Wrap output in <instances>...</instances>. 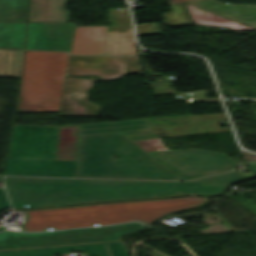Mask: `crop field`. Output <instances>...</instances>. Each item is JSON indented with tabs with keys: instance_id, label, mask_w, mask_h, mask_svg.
<instances>
[{
	"instance_id": "1",
	"label": "crop field",
	"mask_w": 256,
	"mask_h": 256,
	"mask_svg": "<svg viewBox=\"0 0 256 256\" xmlns=\"http://www.w3.org/2000/svg\"><path fill=\"white\" fill-rule=\"evenodd\" d=\"M243 179L231 172L190 183L13 177L5 178L4 182L13 207L23 208L24 204L35 207L179 194H218L229 182Z\"/></svg>"
},
{
	"instance_id": "2",
	"label": "crop field",
	"mask_w": 256,
	"mask_h": 256,
	"mask_svg": "<svg viewBox=\"0 0 256 256\" xmlns=\"http://www.w3.org/2000/svg\"><path fill=\"white\" fill-rule=\"evenodd\" d=\"M209 198L184 197L135 202L71 206L41 210H27L20 226L22 231H44L119 223L131 220L149 225L171 212L202 208Z\"/></svg>"
},
{
	"instance_id": "3",
	"label": "crop field",
	"mask_w": 256,
	"mask_h": 256,
	"mask_svg": "<svg viewBox=\"0 0 256 256\" xmlns=\"http://www.w3.org/2000/svg\"><path fill=\"white\" fill-rule=\"evenodd\" d=\"M76 177L181 180L119 132L79 136Z\"/></svg>"
},
{
	"instance_id": "4",
	"label": "crop field",
	"mask_w": 256,
	"mask_h": 256,
	"mask_svg": "<svg viewBox=\"0 0 256 256\" xmlns=\"http://www.w3.org/2000/svg\"><path fill=\"white\" fill-rule=\"evenodd\" d=\"M68 54L24 51L16 112H58Z\"/></svg>"
},
{
	"instance_id": "5",
	"label": "crop field",
	"mask_w": 256,
	"mask_h": 256,
	"mask_svg": "<svg viewBox=\"0 0 256 256\" xmlns=\"http://www.w3.org/2000/svg\"><path fill=\"white\" fill-rule=\"evenodd\" d=\"M145 228L139 222L101 227L78 228L49 233H0V250L115 241L129 232Z\"/></svg>"
},
{
	"instance_id": "6",
	"label": "crop field",
	"mask_w": 256,
	"mask_h": 256,
	"mask_svg": "<svg viewBox=\"0 0 256 256\" xmlns=\"http://www.w3.org/2000/svg\"><path fill=\"white\" fill-rule=\"evenodd\" d=\"M190 124L194 127L188 128L187 125H173L165 127L150 128L146 119L108 122L100 124H81L77 125L79 135L119 131L130 140L157 138L154 133H164L167 137L227 132L231 129H221L218 121L228 119L225 113L204 114L187 116Z\"/></svg>"
},
{
	"instance_id": "7",
	"label": "crop field",
	"mask_w": 256,
	"mask_h": 256,
	"mask_svg": "<svg viewBox=\"0 0 256 256\" xmlns=\"http://www.w3.org/2000/svg\"><path fill=\"white\" fill-rule=\"evenodd\" d=\"M148 154L183 180L228 171L237 164L225 154L198 149L155 151Z\"/></svg>"
},
{
	"instance_id": "8",
	"label": "crop field",
	"mask_w": 256,
	"mask_h": 256,
	"mask_svg": "<svg viewBox=\"0 0 256 256\" xmlns=\"http://www.w3.org/2000/svg\"><path fill=\"white\" fill-rule=\"evenodd\" d=\"M59 129L15 125L8 158L57 159Z\"/></svg>"
},
{
	"instance_id": "9",
	"label": "crop field",
	"mask_w": 256,
	"mask_h": 256,
	"mask_svg": "<svg viewBox=\"0 0 256 256\" xmlns=\"http://www.w3.org/2000/svg\"><path fill=\"white\" fill-rule=\"evenodd\" d=\"M74 68H71V67ZM141 73L137 56L88 57L71 56L67 75H100V80L121 78L120 75Z\"/></svg>"
},
{
	"instance_id": "10",
	"label": "crop field",
	"mask_w": 256,
	"mask_h": 256,
	"mask_svg": "<svg viewBox=\"0 0 256 256\" xmlns=\"http://www.w3.org/2000/svg\"><path fill=\"white\" fill-rule=\"evenodd\" d=\"M75 25L28 23L25 49L70 51Z\"/></svg>"
},
{
	"instance_id": "11",
	"label": "crop field",
	"mask_w": 256,
	"mask_h": 256,
	"mask_svg": "<svg viewBox=\"0 0 256 256\" xmlns=\"http://www.w3.org/2000/svg\"><path fill=\"white\" fill-rule=\"evenodd\" d=\"M76 161L8 159L3 175L75 177Z\"/></svg>"
},
{
	"instance_id": "12",
	"label": "crop field",
	"mask_w": 256,
	"mask_h": 256,
	"mask_svg": "<svg viewBox=\"0 0 256 256\" xmlns=\"http://www.w3.org/2000/svg\"><path fill=\"white\" fill-rule=\"evenodd\" d=\"M104 244L107 245L111 256H128L124 243L120 241L0 251V256H52V253L64 254L74 250L86 252L88 256H109Z\"/></svg>"
},
{
	"instance_id": "13",
	"label": "crop field",
	"mask_w": 256,
	"mask_h": 256,
	"mask_svg": "<svg viewBox=\"0 0 256 256\" xmlns=\"http://www.w3.org/2000/svg\"><path fill=\"white\" fill-rule=\"evenodd\" d=\"M93 81L67 77L59 116H98L100 107L86 101Z\"/></svg>"
},
{
	"instance_id": "14",
	"label": "crop field",
	"mask_w": 256,
	"mask_h": 256,
	"mask_svg": "<svg viewBox=\"0 0 256 256\" xmlns=\"http://www.w3.org/2000/svg\"><path fill=\"white\" fill-rule=\"evenodd\" d=\"M107 27H77L71 54L102 55Z\"/></svg>"
},
{
	"instance_id": "15",
	"label": "crop field",
	"mask_w": 256,
	"mask_h": 256,
	"mask_svg": "<svg viewBox=\"0 0 256 256\" xmlns=\"http://www.w3.org/2000/svg\"><path fill=\"white\" fill-rule=\"evenodd\" d=\"M189 3L216 13L223 14L239 22H244L250 25L249 27L256 28V5H228L216 2L214 0H194L189 1Z\"/></svg>"
},
{
	"instance_id": "16",
	"label": "crop field",
	"mask_w": 256,
	"mask_h": 256,
	"mask_svg": "<svg viewBox=\"0 0 256 256\" xmlns=\"http://www.w3.org/2000/svg\"><path fill=\"white\" fill-rule=\"evenodd\" d=\"M66 0H31L28 22H68Z\"/></svg>"
},
{
	"instance_id": "17",
	"label": "crop field",
	"mask_w": 256,
	"mask_h": 256,
	"mask_svg": "<svg viewBox=\"0 0 256 256\" xmlns=\"http://www.w3.org/2000/svg\"><path fill=\"white\" fill-rule=\"evenodd\" d=\"M26 23L0 22V48L24 49Z\"/></svg>"
},
{
	"instance_id": "18",
	"label": "crop field",
	"mask_w": 256,
	"mask_h": 256,
	"mask_svg": "<svg viewBox=\"0 0 256 256\" xmlns=\"http://www.w3.org/2000/svg\"><path fill=\"white\" fill-rule=\"evenodd\" d=\"M29 0H0V21L26 22Z\"/></svg>"
},
{
	"instance_id": "19",
	"label": "crop field",
	"mask_w": 256,
	"mask_h": 256,
	"mask_svg": "<svg viewBox=\"0 0 256 256\" xmlns=\"http://www.w3.org/2000/svg\"><path fill=\"white\" fill-rule=\"evenodd\" d=\"M77 140L76 126L61 128L58 159L76 160Z\"/></svg>"
},
{
	"instance_id": "20",
	"label": "crop field",
	"mask_w": 256,
	"mask_h": 256,
	"mask_svg": "<svg viewBox=\"0 0 256 256\" xmlns=\"http://www.w3.org/2000/svg\"><path fill=\"white\" fill-rule=\"evenodd\" d=\"M187 8L192 20H199V21H206V22H218V23H230V24H237L235 22L229 21L227 19L221 18L214 14L208 13L196 7L190 6L187 4ZM247 29H252L249 27L244 26Z\"/></svg>"
},
{
	"instance_id": "21",
	"label": "crop field",
	"mask_w": 256,
	"mask_h": 256,
	"mask_svg": "<svg viewBox=\"0 0 256 256\" xmlns=\"http://www.w3.org/2000/svg\"><path fill=\"white\" fill-rule=\"evenodd\" d=\"M138 147H140L145 152L155 151V150H167L164 145L159 141V139H150V140H137L132 141Z\"/></svg>"
},
{
	"instance_id": "22",
	"label": "crop field",
	"mask_w": 256,
	"mask_h": 256,
	"mask_svg": "<svg viewBox=\"0 0 256 256\" xmlns=\"http://www.w3.org/2000/svg\"><path fill=\"white\" fill-rule=\"evenodd\" d=\"M10 207L9 203L7 201L6 195L4 193L3 188L0 189V211H2L4 208Z\"/></svg>"
},
{
	"instance_id": "23",
	"label": "crop field",
	"mask_w": 256,
	"mask_h": 256,
	"mask_svg": "<svg viewBox=\"0 0 256 256\" xmlns=\"http://www.w3.org/2000/svg\"><path fill=\"white\" fill-rule=\"evenodd\" d=\"M197 24H202V25H214V26H226V27H232L235 30H245L242 28L240 25H222V24H214V23H202V22H197Z\"/></svg>"
},
{
	"instance_id": "24",
	"label": "crop field",
	"mask_w": 256,
	"mask_h": 256,
	"mask_svg": "<svg viewBox=\"0 0 256 256\" xmlns=\"http://www.w3.org/2000/svg\"><path fill=\"white\" fill-rule=\"evenodd\" d=\"M249 168V171L251 173V176H255L256 175V161L253 162H246Z\"/></svg>"
},
{
	"instance_id": "25",
	"label": "crop field",
	"mask_w": 256,
	"mask_h": 256,
	"mask_svg": "<svg viewBox=\"0 0 256 256\" xmlns=\"http://www.w3.org/2000/svg\"><path fill=\"white\" fill-rule=\"evenodd\" d=\"M184 1H189V0H170V4L184 2Z\"/></svg>"
}]
</instances>
